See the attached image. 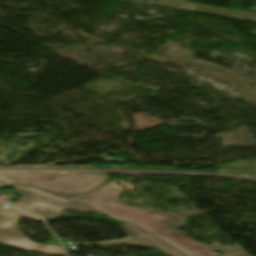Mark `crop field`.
I'll list each match as a JSON object with an SVG mask.
<instances>
[{"instance_id":"crop-field-2","label":"crop field","mask_w":256,"mask_h":256,"mask_svg":"<svg viewBox=\"0 0 256 256\" xmlns=\"http://www.w3.org/2000/svg\"><path fill=\"white\" fill-rule=\"evenodd\" d=\"M107 178L93 173L0 171V187L29 184L69 198L97 188Z\"/></svg>"},{"instance_id":"crop-field-4","label":"crop field","mask_w":256,"mask_h":256,"mask_svg":"<svg viewBox=\"0 0 256 256\" xmlns=\"http://www.w3.org/2000/svg\"><path fill=\"white\" fill-rule=\"evenodd\" d=\"M4 203L0 201V243L14 245L16 247L41 250L47 253L65 254L62 247L34 244L28 241L15 227V222L22 217L31 220H39L37 217L26 213L12 205L2 208Z\"/></svg>"},{"instance_id":"crop-field-3","label":"crop field","mask_w":256,"mask_h":256,"mask_svg":"<svg viewBox=\"0 0 256 256\" xmlns=\"http://www.w3.org/2000/svg\"><path fill=\"white\" fill-rule=\"evenodd\" d=\"M13 187L26 197L18 203L17 206L41 217L44 220L61 217V214L57 211L58 208H68L77 213H88L93 211L102 215L88 206L71 202L29 186Z\"/></svg>"},{"instance_id":"crop-field-1","label":"crop field","mask_w":256,"mask_h":256,"mask_svg":"<svg viewBox=\"0 0 256 256\" xmlns=\"http://www.w3.org/2000/svg\"><path fill=\"white\" fill-rule=\"evenodd\" d=\"M113 183L102 186L95 192L71 200L91 205L111 218L131 222L152 234L167 231L172 227L183 226L185 217L202 213V211L194 209L170 214L161 210H143L138 207H132L118 198V195L127 189L120 188ZM125 184L130 186L128 189L133 188L131 184Z\"/></svg>"},{"instance_id":"crop-field-6","label":"crop field","mask_w":256,"mask_h":256,"mask_svg":"<svg viewBox=\"0 0 256 256\" xmlns=\"http://www.w3.org/2000/svg\"><path fill=\"white\" fill-rule=\"evenodd\" d=\"M123 227H125L131 234L130 239L123 240V241L99 243V245L110 246V245H120V244H133V245H138L143 247L157 248L173 256H185L184 254L173 249L172 247L168 246L167 244L163 243L162 241L158 240L157 238L151 236L150 234L146 233L145 231L139 229L138 227L132 224H127V225H124Z\"/></svg>"},{"instance_id":"crop-field-5","label":"crop field","mask_w":256,"mask_h":256,"mask_svg":"<svg viewBox=\"0 0 256 256\" xmlns=\"http://www.w3.org/2000/svg\"><path fill=\"white\" fill-rule=\"evenodd\" d=\"M157 238L175 247L189 256H214L217 255L209 251V247H213L224 253L240 250L238 245H234L235 249H228L218 244L204 246L198 242L191 241L180 234H174L172 232L156 235Z\"/></svg>"}]
</instances>
